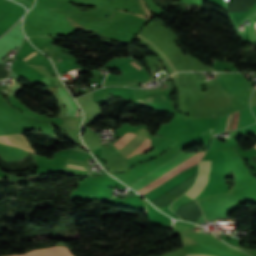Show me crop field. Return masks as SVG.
Returning a JSON list of instances; mask_svg holds the SVG:
<instances>
[{
  "instance_id": "8a807250",
  "label": "crop field",
  "mask_w": 256,
  "mask_h": 256,
  "mask_svg": "<svg viewBox=\"0 0 256 256\" xmlns=\"http://www.w3.org/2000/svg\"><path fill=\"white\" fill-rule=\"evenodd\" d=\"M205 152H203V153H200V154H198V153H196V154H198V155H196V154H194V153H180V154H178L177 156H175L174 158H172L171 160H169V161H167L166 163H164L163 165H161L160 167H158L157 169H155V170H153L152 172H150L149 174H147L146 176H144L143 178H141L140 180H138V181H136L135 183H133L132 185H130L132 188H134L135 190L136 189H138V188H140L141 186H143V185H145L146 183H148V182H150L151 180H153V179H155L157 176H159L161 173H163L164 171H166V170H168V169H170V168H172V167H174L175 165H177L178 163H180V162H182L183 160H185L186 158H188L189 156H191V155H193V156H195V157H193V156H191V157H193V158H191V157H189L188 159H190V160H188V159H186L185 161H187V162H185V161H183V162H185V163H180V164H182V165H180V164H178V165H180V166H175V167H177V168H175L174 170H172V169H170V170H172V171H170V170H168V171H166V172H164L162 175H164L165 173H167V172H169V173H167L166 175H164V176H162V175H160L159 177H161V178H159L158 180H156V181H151V182H153V183H151L150 185H148V184H146V185H148V186H143V187H145V188H143V187H141V188H143L142 190H140V189H138V190H140V191H138L140 194L141 193H143L144 191H146V190H148L149 188H151L152 186H154L155 184H157V183H159L160 181H162L163 179H165L166 177H168V176H170L171 174H173L174 172H176V171H178L179 169H181L182 167H184L185 165H187V164H189L190 162H192L193 160H195L196 158H198V157H200L201 155H203ZM198 161H199V159L198 160H196L195 162H193L192 164H190V165H188L187 167H185L184 169H182V170H180L179 172H177L176 174H178V173H180V172H182V171H184L185 169H187V168H189V167H191V166H193L194 164H196V163H198ZM176 174H174V175H176ZM173 175V176H174ZM172 177V176H171ZM170 178V177H169ZM168 178V179H169ZM167 180V179H166ZM164 182V181H163ZM162 183V182H161ZM159 185V184H158ZM154 188V187H153ZM143 195V194H142ZM161 211H163V212H165V213H167L168 215H170L171 217H173V218H175L174 216H172L170 213H168L166 210H161Z\"/></svg>"
},
{
  "instance_id": "ac0d7876",
  "label": "crop field",
  "mask_w": 256,
  "mask_h": 256,
  "mask_svg": "<svg viewBox=\"0 0 256 256\" xmlns=\"http://www.w3.org/2000/svg\"><path fill=\"white\" fill-rule=\"evenodd\" d=\"M210 162H211V160L200 161L199 174H198L196 183L184 195H186L187 197H189L191 199H195L196 196L205 187L208 176H209Z\"/></svg>"
},
{
  "instance_id": "34b2d1b8",
  "label": "crop field",
  "mask_w": 256,
  "mask_h": 256,
  "mask_svg": "<svg viewBox=\"0 0 256 256\" xmlns=\"http://www.w3.org/2000/svg\"><path fill=\"white\" fill-rule=\"evenodd\" d=\"M15 256H72L65 247L41 249L24 255Z\"/></svg>"
},
{
  "instance_id": "412701ff",
  "label": "crop field",
  "mask_w": 256,
  "mask_h": 256,
  "mask_svg": "<svg viewBox=\"0 0 256 256\" xmlns=\"http://www.w3.org/2000/svg\"><path fill=\"white\" fill-rule=\"evenodd\" d=\"M1 138L7 145L11 144V146H17V147L25 149L27 151L34 152L32 150V148L30 147V145L27 143V139L25 137H23L21 134L7 135L6 138L8 139L10 144L8 143L5 136H1ZM3 141L0 139V143H3Z\"/></svg>"
},
{
  "instance_id": "f4fd0767",
  "label": "crop field",
  "mask_w": 256,
  "mask_h": 256,
  "mask_svg": "<svg viewBox=\"0 0 256 256\" xmlns=\"http://www.w3.org/2000/svg\"><path fill=\"white\" fill-rule=\"evenodd\" d=\"M58 90V94L60 95L62 101L64 102L67 112L65 116H74V107L67 95V93L65 92V90L63 88H57ZM75 116H78L76 111H75Z\"/></svg>"
},
{
  "instance_id": "dd49c442",
  "label": "crop field",
  "mask_w": 256,
  "mask_h": 256,
  "mask_svg": "<svg viewBox=\"0 0 256 256\" xmlns=\"http://www.w3.org/2000/svg\"><path fill=\"white\" fill-rule=\"evenodd\" d=\"M138 102H140L143 105L150 104V103H155V102H160L166 100L163 92L136 98Z\"/></svg>"
},
{
  "instance_id": "e52e79f7",
  "label": "crop field",
  "mask_w": 256,
  "mask_h": 256,
  "mask_svg": "<svg viewBox=\"0 0 256 256\" xmlns=\"http://www.w3.org/2000/svg\"><path fill=\"white\" fill-rule=\"evenodd\" d=\"M84 99L86 100V102L88 103V105L90 106L91 110L93 111V113L95 114V116L97 117V119L102 118V113L100 110V107L98 104H96L93 99H92V92L83 96ZM77 101V99H76ZM78 102V101H77ZM79 103V102H78ZM80 105V104H79ZM81 107V106H80ZM82 109V107H81ZM83 110V109H82ZM84 111V110H83Z\"/></svg>"
},
{
  "instance_id": "d8731c3e",
  "label": "crop field",
  "mask_w": 256,
  "mask_h": 256,
  "mask_svg": "<svg viewBox=\"0 0 256 256\" xmlns=\"http://www.w3.org/2000/svg\"><path fill=\"white\" fill-rule=\"evenodd\" d=\"M238 111H239V110H238ZM238 111L232 113V115L230 114V115H231V119H230V115L228 116V120H227V123H226L225 130H224V131L227 130V126H228L229 119H230V123H229L228 130H227V131L233 130V129L236 128V126H237V120H238Z\"/></svg>"
},
{
  "instance_id": "5a996713",
  "label": "crop field",
  "mask_w": 256,
  "mask_h": 256,
  "mask_svg": "<svg viewBox=\"0 0 256 256\" xmlns=\"http://www.w3.org/2000/svg\"><path fill=\"white\" fill-rule=\"evenodd\" d=\"M151 148V143L150 140L146 139L142 144H140L132 153H130L127 157L137 154V153H142L144 151H147ZM126 157V158H127Z\"/></svg>"
},
{
  "instance_id": "3316defc",
  "label": "crop field",
  "mask_w": 256,
  "mask_h": 256,
  "mask_svg": "<svg viewBox=\"0 0 256 256\" xmlns=\"http://www.w3.org/2000/svg\"><path fill=\"white\" fill-rule=\"evenodd\" d=\"M138 36L142 37L144 40H146L148 43H150L153 47H155V48L159 51V53L162 55V57H163V58L165 59V61L168 63V65H169L171 71H174V70H175V69L173 68L171 62H170V61L165 57V55L156 47V45H155L153 42H151L149 39H147L145 36H143V35H141V34H139V33H138Z\"/></svg>"
},
{
  "instance_id": "28ad6ade",
  "label": "crop field",
  "mask_w": 256,
  "mask_h": 256,
  "mask_svg": "<svg viewBox=\"0 0 256 256\" xmlns=\"http://www.w3.org/2000/svg\"><path fill=\"white\" fill-rule=\"evenodd\" d=\"M132 61H134V60H130V61H127V62H124V63H122V64H119V65H116L117 67H119V66H122V65H125V64H127V63H130V62H132ZM137 62V61H136ZM136 62H133L132 64H134L136 67H138L139 69H141V68H143L142 66H140L138 63H136Z\"/></svg>"
},
{
  "instance_id": "d1516ede",
  "label": "crop field",
  "mask_w": 256,
  "mask_h": 256,
  "mask_svg": "<svg viewBox=\"0 0 256 256\" xmlns=\"http://www.w3.org/2000/svg\"><path fill=\"white\" fill-rule=\"evenodd\" d=\"M14 1H17V2H19V3L24 4L28 9H29V8L31 7V5H32V3L27 2V1H25V0H14Z\"/></svg>"
},
{
  "instance_id": "22f410ed",
  "label": "crop field",
  "mask_w": 256,
  "mask_h": 256,
  "mask_svg": "<svg viewBox=\"0 0 256 256\" xmlns=\"http://www.w3.org/2000/svg\"><path fill=\"white\" fill-rule=\"evenodd\" d=\"M67 167L85 170V167H83V166H77V165L68 164Z\"/></svg>"
},
{
  "instance_id": "cbeb9de0",
  "label": "crop field",
  "mask_w": 256,
  "mask_h": 256,
  "mask_svg": "<svg viewBox=\"0 0 256 256\" xmlns=\"http://www.w3.org/2000/svg\"><path fill=\"white\" fill-rule=\"evenodd\" d=\"M176 223H180V224H184V225L193 227V225H192V224H189V223H184V222H179V221H177ZM194 227H198V226L194 225ZM194 227H193V228H194Z\"/></svg>"
},
{
  "instance_id": "5142ce71",
  "label": "crop field",
  "mask_w": 256,
  "mask_h": 256,
  "mask_svg": "<svg viewBox=\"0 0 256 256\" xmlns=\"http://www.w3.org/2000/svg\"><path fill=\"white\" fill-rule=\"evenodd\" d=\"M34 54H36L35 52L31 53L29 56H27L26 58H24L23 60H27L28 58H30L31 56H33Z\"/></svg>"
},
{
  "instance_id": "d9b57169",
  "label": "crop field",
  "mask_w": 256,
  "mask_h": 256,
  "mask_svg": "<svg viewBox=\"0 0 256 256\" xmlns=\"http://www.w3.org/2000/svg\"><path fill=\"white\" fill-rule=\"evenodd\" d=\"M189 256H204V255H189Z\"/></svg>"
},
{
  "instance_id": "733c2abd",
  "label": "crop field",
  "mask_w": 256,
  "mask_h": 256,
  "mask_svg": "<svg viewBox=\"0 0 256 256\" xmlns=\"http://www.w3.org/2000/svg\"><path fill=\"white\" fill-rule=\"evenodd\" d=\"M253 147H255V148H256V145H254Z\"/></svg>"
}]
</instances>
